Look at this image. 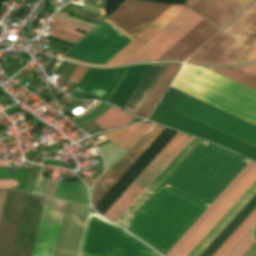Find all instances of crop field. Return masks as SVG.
<instances>
[{
  "mask_svg": "<svg viewBox=\"0 0 256 256\" xmlns=\"http://www.w3.org/2000/svg\"><path fill=\"white\" fill-rule=\"evenodd\" d=\"M248 162L205 142L167 186L208 207ZM167 186L127 229L164 255L207 208Z\"/></svg>",
  "mask_w": 256,
  "mask_h": 256,
  "instance_id": "crop-field-1",
  "label": "crop field"
},
{
  "mask_svg": "<svg viewBox=\"0 0 256 256\" xmlns=\"http://www.w3.org/2000/svg\"><path fill=\"white\" fill-rule=\"evenodd\" d=\"M170 6L171 5L125 0L106 19L135 38ZM183 8L184 6L172 5L135 39L105 19L104 21L125 34L130 39L134 40H130L103 21L102 23L100 22L101 24L79 41L66 54H64V56L83 62L104 65L132 41L104 67L117 66ZM64 56H62V58L69 61L89 66L102 67L101 65L83 63Z\"/></svg>",
  "mask_w": 256,
  "mask_h": 256,
  "instance_id": "crop-field-2",
  "label": "crop field"
},
{
  "mask_svg": "<svg viewBox=\"0 0 256 256\" xmlns=\"http://www.w3.org/2000/svg\"><path fill=\"white\" fill-rule=\"evenodd\" d=\"M188 97V95L169 87L150 119L205 138L213 143L223 145L233 151L256 160V147H254L256 146L255 125L210 106L191 96L189 98ZM182 102L184 103L181 104ZM175 109L182 114L254 146L182 115L174 111Z\"/></svg>",
  "mask_w": 256,
  "mask_h": 256,
  "instance_id": "crop-field-3",
  "label": "crop field"
},
{
  "mask_svg": "<svg viewBox=\"0 0 256 256\" xmlns=\"http://www.w3.org/2000/svg\"><path fill=\"white\" fill-rule=\"evenodd\" d=\"M210 71L184 65L171 87L256 125V92Z\"/></svg>",
  "mask_w": 256,
  "mask_h": 256,
  "instance_id": "crop-field-4",
  "label": "crop field"
},
{
  "mask_svg": "<svg viewBox=\"0 0 256 256\" xmlns=\"http://www.w3.org/2000/svg\"><path fill=\"white\" fill-rule=\"evenodd\" d=\"M5 192L0 193V212ZM45 197L6 192L0 216V256H31Z\"/></svg>",
  "mask_w": 256,
  "mask_h": 256,
  "instance_id": "crop-field-5",
  "label": "crop field"
},
{
  "mask_svg": "<svg viewBox=\"0 0 256 256\" xmlns=\"http://www.w3.org/2000/svg\"><path fill=\"white\" fill-rule=\"evenodd\" d=\"M255 42L256 0L187 62L230 65Z\"/></svg>",
  "mask_w": 256,
  "mask_h": 256,
  "instance_id": "crop-field-6",
  "label": "crop field"
},
{
  "mask_svg": "<svg viewBox=\"0 0 256 256\" xmlns=\"http://www.w3.org/2000/svg\"><path fill=\"white\" fill-rule=\"evenodd\" d=\"M255 180L256 164L250 161L165 256H187Z\"/></svg>",
  "mask_w": 256,
  "mask_h": 256,
  "instance_id": "crop-field-7",
  "label": "crop field"
},
{
  "mask_svg": "<svg viewBox=\"0 0 256 256\" xmlns=\"http://www.w3.org/2000/svg\"><path fill=\"white\" fill-rule=\"evenodd\" d=\"M79 256H158L102 217L90 212Z\"/></svg>",
  "mask_w": 256,
  "mask_h": 256,
  "instance_id": "crop-field-8",
  "label": "crop field"
},
{
  "mask_svg": "<svg viewBox=\"0 0 256 256\" xmlns=\"http://www.w3.org/2000/svg\"><path fill=\"white\" fill-rule=\"evenodd\" d=\"M203 18L185 7L122 64L156 61Z\"/></svg>",
  "mask_w": 256,
  "mask_h": 256,
  "instance_id": "crop-field-9",
  "label": "crop field"
},
{
  "mask_svg": "<svg viewBox=\"0 0 256 256\" xmlns=\"http://www.w3.org/2000/svg\"><path fill=\"white\" fill-rule=\"evenodd\" d=\"M190 139L191 137L177 133L147 168L137 177L133 184L146 189ZM133 184L127 188L104 215L115 222L120 218V216L144 191V189Z\"/></svg>",
  "mask_w": 256,
  "mask_h": 256,
  "instance_id": "crop-field-10",
  "label": "crop field"
},
{
  "mask_svg": "<svg viewBox=\"0 0 256 256\" xmlns=\"http://www.w3.org/2000/svg\"><path fill=\"white\" fill-rule=\"evenodd\" d=\"M203 143L192 138L116 223L127 229Z\"/></svg>",
  "mask_w": 256,
  "mask_h": 256,
  "instance_id": "crop-field-11",
  "label": "crop field"
},
{
  "mask_svg": "<svg viewBox=\"0 0 256 256\" xmlns=\"http://www.w3.org/2000/svg\"><path fill=\"white\" fill-rule=\"evenodd\" d=\"M66 203L46 197L32 256H53Z\"/></svg>",
  "mask_w": 256,
  "mask_h": 256,
  "instance_id": "crop-field-12",
  "label": "crop field"
},
{
  "mask_svg": "<svg viewBox=\"0 0 256 256\" xmlns=\"http://www.w3.org/2000/svg\"><path fill=\"white\" fill-rule=\"evenodd\" d=\"M164 127L153 124L133 148L115 165L106 171L96 182L92 191V203L95 206L152 141L161 133Z\"/></svg>",
  "mask_w": 256,
  "mask_h": 256,
  "instance_id": "crop-field-13",
  "label": "crop field"
},
{
  "mask_svg": "<svg viewBox=\"0 0 256 256\" xmlns=\"http://www.w3.org/2000/svg\"><path fill=\"white\" fill-rule=\"evenodd\" d=\"M220 29L204 18L157 61H184Z\"/></svg>",
  "mask_w": 256,
  "mask_h": 256,
  "instance_id": "crop-field-14",
  "label": "crop field"
},
{
  "mask_svg": "<svg viewBox=\"0 0 256 256\" xmlns=\"http://www.w3.org/2000/svg\"><path fill=\"white\" fill-rule=\"evenodd\" d=\"M128 68L129 67L115 69L88 68L75 90L109 99Z\"/></svg>",
  "mask_w": 256,
  "mask_h": 256,
  "instance_id": "crop-field-15",
  "label": "crop field"
},
{
  "mask_svg": "<svg viewBox=\"0 0 256 256\" xmlns=\"http://www.w3.org/2000/svg\"><path fill=\"white\" fill-rule=\"evenodd\" d=\"M191 8L221 27L244 9L230 0H199Z\"/></svg>",
  "mask_w": 256,
  "mask_h": 256,
  "instance_id": "crop-field-16",
  "label": "crop field"
},
{
  "mask_svg": "<svg viewBox=\"0 0 256 256\" xmlns=\"http://www.w3.org/2000/svg\"><path fill=\"white\" fill-rule=\"evenodd\" d=\"M255 194L256 181L222 217V219L211 229V231L201 240V242L191 251L188 256H199Z\"/></svg>",
  "mask_w": 256,
  "mask_h": 256,
  "instance_id": "crop-field-17",
  "label": "crop field"
},
{
  "mask_svg": "<svg viewBox=\"0 0 256 256\" xmlns=\"http://www.w3.org/2000/svg\"><path fill=\"white\" fill-rule=\"evenodd\" d=\"M167 65L168 63L151 64L124 109L136 114Z\"/></svg>",
  "mask_w": 256,
  "mask_h": 256,
  "instance_id": "crop-field-18",
  "label": "crop field"
},
{
  "mask_svg": "<svg viewBox=\"0 0 256 256\" xmlns=\"http://www.w3.org/2000/svg\"><path fill=\"white\" fill-rule=\"evenodd\" d=\"M181 64L169 63L162 76L146 98L145 102L137 112V115L147 118L151 113L152 109L160 99L161 95L169 85L170 81L178 71Z\"/></svg>",
  "mask_w": 256,
  "mask_h": 256,
  "instance_id": "crop-field-19",
  "label": "crop field"
},
{
  "mask_svg": "<svg viewBox=\"0 0 256 256\" xmlns=\"http://www.w3.org/2000/svg\"><path fill=\"white\" fill-rule=\"evenodd\" d=\"M150 125L151 124H138L104 133V135L117 146L127 151Z\"/></svg>",
  "mask_w": 256,
  "mask_h": 256,
  "instance_id": "crop-field-20",
  "label": "crop field"
},
{
  "mask_svg": "<svg viewBox=\"0 0 256 256\" xmlns=\"http://www.w3.org/2000/svg\"><path fill=\"white\" fill-rule=\"evenodd\" d=\"M255 224L256 209L250 214V216L240 225V227L230 236V238L220 247V249L213 256H227Z\"/></svg>",
  "mask_w": 256,
  "mask_h": 256,
  "instance_id": "crop-field-21",
  "label": "crop field"
},
{
  "mask_svg": "<svg viewBox=\"0 0 256 256\" xmlns=\"http://www.w3.org/2000/svg\"><path fill=\"white\" fill-rule=\"evenodd\" d=\"M54 197L89 204L86 189L79 182L60 181Z\"/></svg>",
  "mask_w": 256,
  "mask_h": 256,
  "instance_id": "crop-field-22",
  "label": "crop field"
},
{
  "mask_svg": "<svg viewBox=\"0 0 256 256\" xmlns=\"http://www.w3.org/2000/svg\"><path fill=\"white\" fill-rule=\"evenodd\" d=\"M135 117L111 106L103 115L93 120L102 129L126 125Z\"/></svg>",
  "mask_w": 256,
  "mask_h": 256,
  "instance_id": "crop-field-23",
  "label": "crop field"
},
{
  "mask_svg": "<svg viewBox=\"0 0 256 256\" xmlns=\"http://www.w3.org/2000/svg\"><path fill=\"white\" fill-rule=\"evenodd\" d=\"M230 80L242 84L256 91V77L236 67L232 68H206Z\"/></svg>",
  "mask_w": 256,
  "mask_h": 256,
  "instance_id": "crop-field-24",
  "label": "crop field"
},
{
  "mask_svg": "<svg viewBox=\"0 0 256 256\" xmlns=\"http://www.w3.org/2000/svg\"><path fill=\"white\" fill-rule=\"evenodd\" d=\"M49 35H52L54 37L60 38L62 40L68 41L73 44H75L77 41H79L82 38V36L70 33L68 31H65L56 27L52 29Z\"/></svg>",
  "mask_w": 256,
  "mask_h": 256,
  "instance_id": "crop-field-25",
  "label": "crop field"
},
{
  "mask_svg": "<svg viewBox=\"0 0 256 256\" xmlns=\"http://www.w3.org/2000/svg\"><path fill=\"white\" fill-rule=\"evenodd\" d=\"M56 27L68 30L70 32H73V33H76V34H79L82 36H84L86 33H88L91 30V28L84 27V26H81V25H78V24H75L72 22L62 20V19H60V21L57 23ZM76 29L84 31L86 33L83 34V33L77 32V31H75Z\"/></svg>",
  "mask_w": 256,
  "mask_h": 256,
  "instance_id": "crop-field-26",
  "label": "crop field"
},
{
  "mask_svg": "<svg viewBox=\"0 0 256 256\" xmlns=\"http://www.w3.org/2000/svg\"><path fill=\"white\" fill-rule=\"evenodd\" d=\"M0 173H9L7 168H0ZM0 178H11L9 174H0ZM19 185L15 179H0V189H7Z\"/></svg>",
  "mask_w": 256,
  "mask_h": 256,
  "instance_id": "crop-field-27",
  "label": "crop field"
},
{
  "mask_svg": "<svg viewBox=\"0 0 256 256\" xmlns=\"http://www.w3.org/2000/svg\"><path fill=\"white\" fill-rule=\"evenodd\" d=\"M254 242L252 238V231L248 234V236L241 242V244L234 250V252L230 256H241L249 246Z\"/></svg>",
  "mask_w": 256,
  "mask_h": 256,
  "instance_id": "crop-field-28",
  "label": "crop field"
},
{
  "mask_svg": "<svg viewBox=\"0 0 256 256\" xmlns=\"http://www.w3.org/2000/svg\"><path fill=\"white\" fill-rule=\"evenodd\" d=\"M98 149L101 155L103 156V159H106L107 157H109L110 155H112L121 148L117 147L116 145L110 142L106 145L99 147Z\"/></svg>",
  "mask_w": 256,
  "mask_h": 256,
  "instance_id": "crop-field-29",
  "label": "crop field"
},
{
  "mask_svg": "<svg viewBox=\"0 0 256 256\" xmlns=\"http://www.w3.org/2000/svg\"><path fill=\"white\" fill-rule=\"evenodd\" d=\"M42 172H43V168L41 167L40 171H39V174H38V177H37V180L35 182L33 191H32L34 193L40 194L44 185H45V183H46V181H47V179L42 176Z\"/></svg>",
  "mask_w": 256,
  "mask_h": 256,
  "instance_id": "crop-field-30",
  "label": "crop field"
},
{
  "mask_svg": "<svg viewBox=\"0 0 256 256\" xmlns=\"http://www.w3.org/2000/svg\"><path fill=\"white\" fill-rule=\"evenodd\" d=\"M86 70H87V67L77 66L76 70L74 71L71 78L69 79V82H73L77 84Z\"/></svg>",
  "mask_w": 256,
  "mask_h": 256,
  "instance_id": "crop-field-31",
  "label": "crop field"
},
{
  "mask_svg": "<svg viewBox=\"0 0 256 256\" xmlns=\"http://www.w3.org/2000/svg\"><path fill=\"white\" fill-rule=\"evenodd\" d=\"M126 151L124 150H119L118 152H116L115 154H113L112 156H110L109 158H107L106 160H104L105 162V169H107L110 165H112L117 159H119Z\"/></svg>",
  "mask_w": 256,
  "mask_h": 256,
  "instance_id": "crop-field-32",
  "label": "crop field"
},
{
  "mask_svg": "<svg viewBox=\"0 0 256 256\" xmlns=\"http://www.w3.org/2000/svg\"><path fill=\"white\" fill-rule=\"evenodd\" d=\"M246 72H249L256 76V65L238 67Z\"/></svg>",
  "mask_w": 256,
  "mask_h": 256,
  "instance_id": "crop-field-33",
  "label": "crop field"
},
{
  "mask_svg": "<svg viewBox=\"0 0 256 256\" xmlns=\"http://www.w3.org/2000/svg\"><path fill=\"white\" fill-rule=\"evenodd\" d=\"M242 256H256L255 243H253L251 247Z\"/></svg>",
  "mask_w": 256,
  "mask_h": 256,
  "instance_id": "crop-field-34",
  "label": "crop field"
},
{
  "mask_svg": "<svg viewBox=\"0 0 256 256\" xmlns=\"http://www.w3.org/2000/svg\"><path fill=\"white\" fill-rule=\"evenodd\" d=\"M235 3L239 4L242 7H246L249 3H251L253 0H232Z\"/></svg>",
  "mask_w": 256,
  "mask_h": 256,
  "instance_id": "crop-field-35",
  "label": "crop field"
},
{
  "mask_svg": "<svg viewBox=\"0 0 256 256\" xmlns=\"http://www.w3.org/2000/svg\"><path fill=\"white\" fill-rule=\"evenodd\" d=\"M197 1H198V0H187L185 4L191 7V6H192L195 2H197ZM190 7H189V8H190Z\"/></svg>",
  "mask_w": 256,
  "mask_h": 256,
  "instance_id": "crop-field-36",
  "label": "crop field"
},
{
  "mask_svg": "<svg viewBox=\"0 0 256 256\" xmlns=\"http://www.w3.org/2000/svg\"><path fill=\"white\" fill-rule=\"evenodd\" d=\"M35 65V63H31L29 66H27L26 68H24L20 73H24V72H26L28 69H30L32 66H34Z\"/></svg>",
  "mask_w": 256,
  "mask_h": 256,
  "instance_id": "crop-field-37",
  "label": "crop field"
},
{
  "mask_svg": "<svg viewBox=\"0 0 256 256\" xmlns=\"http://www.w3.org/2000/svg\"><path fill=\"white\" fill-rule=\"evenodd\" d=\"M0 166H7V164L5 161H1V159H0Z\"/></svg>",
  "mask_w": 256,
  "mask_h": 256,
  "instance_id": "crop-field-38",
  "label": "crop field"
},
{
  "mask_svg": "<svg viewBox=\"0 0 256 256\" xmlns=\"http://www.w3.org/2000/svg\"><path fill=\"white\" fill-rule=\"evenodd\" d=\"M85 182H86V184H87L89 187H91L92 184H93L92 182H90V181H88V180H86ZM91 188H92V187H91Z\"/></svg>",
  "mask_w": 256,
  "mask_h": 256,
  "instance_id": "crop-field-39",
  "label": "crop field"
},
{
  "mask_svg": "<svg viewBox=\"0 0 256 256\" xmlns=\"http://www.w3.org/2000/svg\"><path fill=\"white\" fill-rule=\"evenodd\" d=\"M1 151H4V149H3V148H1V149H0V152H1Z\"/></svg>",
  "mask_w": 256,
  "mask_h": 256,
  "instance_id": "crop-field-40",
  "label": "crop field"
},
{
  "mask_svg": "<svg viewBox=\"0 0 256 256\" xmlns=\"http://www.w3.org/2000/svg\"><path fill=\"white\" fill-rule=\"evenodd\" d=\"M252 62H256V59H254Z\"/></svg>",
  "mask_w": 256,
  "mask_h": 256,
  "instance_id": "crop-field-41",
  "label": "crop field"
},
{
  "mask_svg": "<svg viewBox=\"0 0 256 256\" xmlns=\"http://www.w3.org/2000/svg\"><path fill=\"white\" fill-rule=\"evenodd\" d=\"M2 147V145H0V148Z\"/></svg>",
  "mask_w": 256,
  "mask_h": 256,
  "instance_id": "crop-field-42",
  "label": "crop field"
},
{
  "mask_svg": "<svg viewBox=\"0 0 256 256\" xmlns=\"http://www.w3.org/2000/svg\"><path fill=\"white\" fill-rule=\"evenodd\" d=\"M255 234H256V231H255Z\"/></svg>",
  "mask_w": 256,
  "mask_h": 256,
  "instance_id": "crop-field-43",
  "label": "crop field"
},
{
  "mask_svg": "<svg viewBox=\"0 0 256 256\" xmlns=\"http://www.w3.org/2000/svg\"><path fill=\"white\" fill-rule=\"evenodd\" d=\"M49 94V93H48ZM47 95V94H46ZM45 96V95H44Z\"/></svg>",
  "mask_w": 256,
  "mask_h": 256,
  "instance_id": "crop-field-44",
  "label": "crop field"
}]
</instances>
